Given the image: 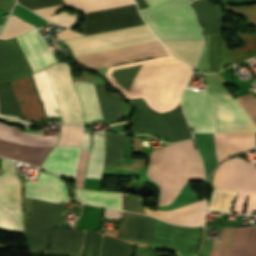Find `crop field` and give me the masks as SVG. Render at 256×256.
I'll use <instances>...</instances> for the list:
<instances>
[{"label":"crop field","instance_id":"obj_43","mask_svg":"<svg viewBox=\"0 0 256 256\" xmlns=\"http://www.w3.org/2000/svg\"><path fill=\"white\" fill-rule=\"evenodd\" d=\"M121 211L106 209L105 218H120Z\"/></svg>","mask_w":256,"mask_h":256},{"label":"crop field","instance_id":"obj_4","mask_svg":"<svg viewBox=\"0 0 256 256\" xmlns=\"http://www.w3.org/2000/svg\"><path fill=\"white\" fill-rule=\"evenodd\" d=\"M151 7L141 10L161 41L202 40L190 0H145Z\"/></svg>","mask_w":256,"mask_h":256},{"label":"crop field","instance_id":"obj_2","mask_svg":"<svg viewBox=\"0 0 256 256\" xmlns=\"http://www.w3.org/2000/svg\"><path fill=\"white\" fill-rule=\"evenodd\" d=\"M147 176L160 186L158 206L172 203L188 180L204 179L201 160L193 140L153 151Z\"/></svg>","mask_w":256,"mask_h":256},{"label":"crop field","instance_id":"obj_38","mask_svg":"<svg viewBox=\"0 0 256 256\" xmlns=\"http://www.w3.org/2000/svg\"><path fill=\"white\" fill-rule=\"evenodd\" d=\"M237 99L256 123V98L250 94Z\"/></svg>","mask_w":256,"mask_h":256},{"label":"crop field","instance_id":"obj_23","mask_svg":"<svg viewBox=\"0 0 256 256\" xmlns=\"http://www.w3.org/2000/svg\"><path fill=\"white\" fill-rule=\"evenodd\" d=\"M0 139L17 142L23 145L42 146L55 145L58 138L44 137V135L28 134L15 128L0 124Z\"/></svg>","mask_w":256,"mask_h":256},{"label":"crop field","instance_id":"obj_29","mask_svg":"<svg viewBox=\"0 0 256 256\" xmlns=\"http://www.w3.org/2000/svg\"><path fill=\"white\" fill-rule=\"evenodd\" d=\"M77 196L94 205L122 208V193H106L77 189Z\"/></svg>","mask_w":256,"mask_h":256},{"label":"crop field","instance_id":"obj_27","mask_svg":"<svg viewBox=\"0 0 256 256\" xmlns=\"http://www.w3.org/2000/svg\"><path fill=\"white\" fill-rule=\"evenodd\" d=\"M67 6L84 13L135 4L133 0H64Z\"/></svg>","mask_w":256,"mask_h":256},{"label":"crop field","instance_id":"obj_33","mask_svg":"<svg viewBox=\"0 0 256 256\" xmlns=\"http://www.w3.org/2000/svg\"><path fill=\"white\" fill-rule=\"evenodd\" d=\"M83 138V130L71 126L62 125L60 140L57 145H80Z\"/></svg>","mask_w":256,"mask_h":256},{"label":"crop field","instance_id":"obj_14","mask_svg":"<svg viewBox=\"0 0 256 256\" xmlns=\"http://www.w3.org/2000/svg\"><path fill=\"white\" fill-rule=\"evenodd\" d=\"M25 196L50 202H69V192L63 180L45 172H40L37 183L26 182Z\"/></svg>","mask_w":256,"mask_h":256},{"label":"crop field","instance_id":"obj_32","mask_svg":"<svg viewBox=\"0 0 256 256\" xmlns=\"http://www.w3.org/2000/svg\"><path fill=\"white\" fill-rule=\"evenodd\" d=\"M237 192L214 189L210 210H231Z\"/></svg>","mask_w":256,"mask_h":256},{"label":"crop field","instance_id":"obj_10","mask_svg":"<svg viewBox=\"0 0 256 256\" xmlns=\"http://www.w3.org/2000/svg\"><path fill=\"white\" fill-rule=\"evenodd\" d=\"M182 107L194 133L216 132L213 104L207 91L185 88Z\"/></svg>","mask_w":256,"mask_h":256},{"label":"crop field","instance_id":"obj_42","mask_svg":"<svg viewBox=\"0 0 256 256\" xmlns=\"http://www.w3.org/2000/svg\"><path fill=\"white\" fill-rule=\"evenodd\" d=\"M90 149V134H84V138L81 144V150Z\"/></svg>","mask_w":256,"mask_h":256},{"label":"crop field","instance_id":"obj_26","mask_svg":"<svg viewBox=\"0 0 256 256\" xmlns=\"http://www.w3.org/2000/svg\"><path fill=\"white\" fill-rule=\"evenodd\" d=\"M231 256H256V225L238 229Z\"/></svg>","mask_w":256,"mask_h":256},{"label":"crop field","instance_id":"obj_20","mask_svg":"<svg viewBox=\"0 0 256 256\" xmlns=\"http://www.w3.org/2000/svg\"><path fill=\"white\" fill-rule=\"evenodd\" d=\"M84 231L56 228L50 230V246L48 253H67L80 256Z\"/></svg>","mask_w":256,"mask_h":256},{"label":"crop field","instance_id":"obj_6","mask_svg":"<svg viewBox=\"0 0 256 256\" xmlns=\"http://www.w3.org/2000/svg\"><path fill=\"white\" fill-rule=\"evenodd\" d=\"M154 221L153 217L123 212L117 238L151 245ZM133 247L104 236L101 256H131Z\"/></svg>","mask_w":256,"mask_h":256},{"label":"crop field","instance_id":"obj_17","mask_svg":"<svg viewBox=\"0 0 256 256\" xmlns=\"http://www.w3.org/2000/svg\"><path fill=\"white\" fill-rule=\"evenodd\" d=\"M3 174L0 175V202L13 210L22 220V187L15 175L13 161L3 159Z\"/></svg>","mask_w":256,"mask_h":256},{"label":"crop field","instance_id":"obj_36","mask_svg":"<svg viewBox=\"0 0 256 256\" xmlns=\"http://www.w3.org/2000/svg\"><path fill=\"white\" fill-rule=\"evenodd\" d=\"M88 153L89 151H81L80 153V159H79L77 174L75 179V187L83 188L84 186V175H85V170L87 165Z\"/></svg>","mask_w":256,"mask_h":256},{"label":"crop field","instance_id":"obj_3","mask_svg":"<svg viewBox=\"0 0 256 256\" xmlns=\"http://www.w3.org/2000/svg\"><path fill=\"white\" fill-rule=\"evenodd\" d=\"M45 69L59 103L63 123L83 128L82 107L72 84L70 67L66 63H56ZM47 74L42 69L32 75L47 116H61Z\"/></svg>","mask_w":256,"mask_h":256},{"label":"crop field","instance_id":"obj_8","mask_svg":"<svg viewBox=\"0 0 256 256\" xmlns=\"http://www.w3.org/2000/svg\"><path fill=\"white\" fill-rule=\"evenodd\" d=\"M201 227L186 228L156 219L151 248L176 251L178 256H196Z\"/></svg>","mask_w":256,"mask_h":256},{"label":"crop field","instance_id":"obj_11","mask_svg":"<svg viewBox=\"0 0 256 256\" xmlns=\"http://www.w3.org/2000/svg\"><path fill=\"white\" fill-rule=\"evenodd\" d=\"M217 106L219 132L256 131V124L231 94H210Z\"/></svg>","mask_w":256,"mask_h":256},{"label":"crop field","instance_id":"obj_18","mask_svg":"<svg viewBox=\"0 0 256 256\" xmlns=\"http://www.w3.org/2000/svg\"><path fill=\"white\" fill-rule=\"evenodd\" d=\"M207 211L204 200L169 211H152L145 207V212L168 222L194 226L203 223Z\"/></svg>","mask_w":256,"mask_h":256},{"label":"crop field","instance_id":"obj_12","mask_svg":"<svg viewBox=\"0 0 256 256\" xmlns=\"http://www.w3.org/2000/svg\"><path fill=\"white\" fill-rule=\"evenodd\" d=\"M237 36L242 38L247 43L240 49L247 59L256 56V33L247 35L238 33ZM240 49L230 51L223 36H212L209 57H210V72H217L223 68L222 65L231 62L232 64L247 60Z\"/></svg>","mask_w":256,"mask_h":256},{"label":"crop field","instance_id":"obj_44","mask_svg":"<svg viewBox=\"0 0 256 256\" xmlns=\"http://www.w3.org/2000/svg\"><path fill=\"white\" fill-rule=\"evenodd\" d=\"M2 25H3V24H0V29H1Z\"/></svg>","mask_w":256,"mask_h":256},{"label":"crop field","instance_id":"obj_41","mask_svg":"<svg viewBox=\"0 0 256 256\" xmlns=\"http://www.w3.org/2000/svg\"><path fill=\"white\" fill-rule=\"evenodd\" d=\"M0 119H3V120H6V121H10V122H14V123H18V124H21L27 128H29L30 126V123L24 121V120H21L19 118H13V117H7V116H0Z\"/></svg>","mask_w":256,"mask_h":256},{"label":"crop field","instance_id":"obj_25","mask_svg":"<svg viewBox=\"0 0 256 256\" xmlns=\"http://www.w3.org/2000/svg\"><path fill=\"white\" fill-rule=\"evenodd\" d=\"M176 58L188 63L193 68L201 50L202 41L163 42Z\"/></svg>","mask_w":256,"mask_h":256},{"label":"crop field","instance_id":"obj_31","mask_svg":"<svg viewBox=\"0 0 256 256\" xmlns=\"http://www.w3.org/2000/svg\"><path fill=\"white\" fill-rule=\"evenodd\" d=\"M34 27L35 26L25 22L24 20L12 14L8 20L4 31L0 35V39H8L20 35Z\"/></svg>","mask_w":256,"mask_h":256},{"label":"crop field","instance_id":"obj_9","mask_svg":"<svg viewBox=\"0 0 256 256\" xmlns=\"http://www.w3.org/2000/svg\"><path fill=\"white\" fill-rule=\"evenodd\" d=\"M61 206L33 199L32 224H25L26 240L30 249L47 248V228L61 226Z\"/></svg>","mask_w":256,"mask_h":256},{"label":"crop field","instance_id":"obj_22","mask_svg":"<svg viewBox=\"0 0 256 256\" xmlns=\"http://www.w3.org/2000/svg\"><path fill=\"white\" fill-rule=\"evenodd\" d=\"M66 7L65 4L48 7L44 9L35 10L34 12L42 15L44 18H46L48 21L55 22L59 25L71 27L75 24H77L78 20L80 19L79 16L76 15H70L67 12L63 11L60 12L54 16H50L54 13H56L59 9ZM50 16V17H48ZM66 28L65 30L55 34L60 40L68 39V38H74L79 36H84L83 34L77 33L75 31H72L70 29Z\"/></svg>","mask_w":256,"mask_h":256},{"label":"crop field","instance_id":"obj_15","mask_svg":"<svg viewBox=\"0 0 256 256\" xmlns=\"http://www.w3.org/2000/svg\"><path fill=\"white\" fill-rule=\"evenodd\" d=\"M17 39L34 72L57 62L35 28L17 36Z\"/></svg>","mask_w":256,"mask_h":256},{"label":"crop field","instance_id":"obj_35","mask_svg":"<svg viewBox=\"0 0 256 256\" xmlns=\"http://www.w3.org/2000/svg\"><path fill=\"white\" fill-rule=\"evenodd\" d=\"M101 241L102 235L86 231V237L83 247L84 256H89L91 248V256H99Z\"/></svg>","mask_w":256,"mask_h":256},{"label":"crop field","instance_id":"obj_37","mask_svg":"<svg viewBox=\"0 0 256 256\" xmlns=\"http://www.w3.org/2000/svg\"><path fill=\"white\" fill-rule=\"evenodd\" d=\"M20 4L31 10L64 3L63 0H18Z\"/></svg>","mask_w":256,"mask_h":256},{"label":"crop field","instance_id":"obj_24","mask_svg":"<svg viewBox=\"0 0 256 256\" xmlns=\"http://www.w3.org/2000/svg\"><path fill=\"white\" fill-rule=\"evenodd\" d=\"M84 107L85 122L103 120L94 86L85 82L74 83Z\"/></svg>","mask_w":256,"mask_h":256},{"label":"crop field","instance_id":"obj_34","mask_svg":"<svg viewBox=\"0 0 256 256\" xmlns=\"http://www.w3.org/2000/svg\"><path fill=\"white\" fill-rule=\"evenodd\" d=\"M0 228L23 231L22 222L13 211L0 204Z\"/></svg>","mask_w":256,"mask_h":256},{"label":"crop field","instance_id":"obj_5","mask_svg":"<svg viewBox=\"0 0 256 256\" xmlns=\"http://www.w3.org/2000/svg\"><path fill=\"white\" fill-rule=\"evenodd\" d=\"M213 187L239 191L233 212L242 213L246 196L249 195L245 214L256 209V166L239 158L224 161L215 172Z\"/></svg>","mask_w":256,"mask_h":256},{"label":"crop field","instance_id":"obj_13","mask_svg":"<svg viewBox=\"0 0 256 256\" xmlns=\"http://www.w3.org/2000/svg\"><path fill=\"white\" fill-rule=\"evenodd\" d=\"M32 70L16 40H0V83L12 81Z\"/></svg>","mask_w":256,"mask_h":256},{"label":"crop field","instance_id":"obj_40","mask_svg":"<svg viewBox=\"0 0 256 256\" xmlns=\"http://www.w3.org/2000/svg\"><path fill=\"white\" fill-rule=\"evenodd\" d=\"M239 13L256 24V6L237 9Z\"/></svg>","mask_w":256,"mask_h":256},{"label":"crop field","instance_id":"obj_21","mask_svg":"<svg viewBox=\"0 0 256 256\" xmlns=\"http://www.w3.org/2000/svg\"><path fill=\"white\" fill-rule=\"evenodd\" d=\"M53 146L30 147L0 140V156L40 166Z\"/></svg>","mask_w":256,"mask_h":256},{"label":"crop field","instance_id":"obj_30","mask_svg":"<svg viewBox=\"0 0 256 256\" xmlns=\"http://www.w3.org/2000/svg\"><path fill=\"white\" fill-rule=\"evenodd\" d=\"M236 228L223 227L220 241H213L209 256H230Z\"/></svg>","mask_w":256,"mask_h":256},{"label":"crop field","instance_id":"obj_1","mask_svg":"<svg viewBox=\"0 0 256 256\" xmlns=\"http://www.w3.org/2000/svg\"><path fill=\"white\" fill-rule=\"evenodd\" d=\"M157 41L158 40L147 25L65 40L76 57ZM167 54L168 52L165 50L163 45H161L160 42H157L79 57L77 59L81 63L96 69Z\"/></svg>","mask_w":256,"mask_h":256},{"label":"crop field","instance_id":"obj_28","mask_svg":"<svg viewBox=\"0 0 256 256\" xmlns=\"http://www.w3.org/2000/svg\"><path fill=\"white\" fill-rule=\"evenodd\" d=\"M105 158L104 135L93 134V147L90 153L86 177L100 179Z\"/></svg>","mask_w":256,"mask_h":256},{"label":"crop field","instance_id":"obj_7","mask_svg":"<svg viewBox=\"0 0 256 256\" xmlns=\"http://www.w3.org/2000/svg\"><path fill=\"white\" fill-rule=\"evenodd\" d=\"M11 83L23 116L33 119L44 118L30 76L21 77ZM11 83L0 84V113L22 116Z\"/></svg>","mask_w":256,"mask_h":256},{"label":"crop field","instance_id":"obj_19","mask_svg":"<svg viewBox=\"0 0 256 256\" xmlns=\"http://www.w3.org/2000/svg\"><path fill=\"white\" fill-rule=\"evenodd\" d=\"M80 146H55L42 168L75 177Z\"/></svg>","mask_w":256,"mask_h":256},{"label":"crop field","instance_id":"obj_16","mask_svg":"<svg viewBox=\"0 0 256 256\" xmlns=\"http://www.w3.org/2000/svg\"><path fill=\"white\" fill-rule=\"evenodd\" d=\"M213 144L220 162L228 155H237L255 147V132L214 133Z\"/></svg>","mask_w":256,"mask_h":256},{"label":"crop field","instance_id":"obj_39","mask_svg":"<svg viewBox=\"0 0 256 256\" xmlns=\"http://www.w3.org/2000/svg\"><path fill=\"white\" fill-rule=\"evenodd\" d=\"M142 208L143 204L140 198L131 196L129 194L125 195V203L123 210L142 213Z\"/></svg>","mask_w":256,"mask_h":256}]
</instances>
